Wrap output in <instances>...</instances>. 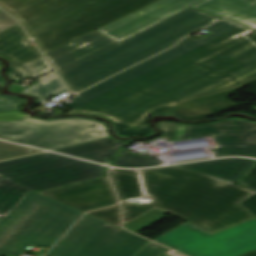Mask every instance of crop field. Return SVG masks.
<instances>
[{
    "label": "crop field",
    "mask_w": 256,
    "mask_h": 256,
    "mask_svg": "<svg viewBox=\"0 0 256 256\" xmlns=\"http://www.w3.org/2000/svg\"><path fill=\"white\" fill-rule=\"evenodd\" d=\"M200 41L189 37L162 54L62 103L70 112L98 113L122 136L146 135L145 118L183 102L234 88L256 77L253 32L221 21ZM168 114V113H167Z\"/></svg>",
    "instance_id": "obj_1"
},
{
    "label": "crop field",
    "mask_w": 256,
    "mask_h": 256,
    "mask_svg": "<svg viewBox=\"0 0 256 256\" xmlns=\"http://www.w3.org/2000/svg\"><path fill=\"white\" fill-rule=\"evenodd\" d=\"M139 171L150 202L122 204L124 224L154 207L211 234L256 218L238 204L253 192L229 181L174 166Z\"/></svg>",
    "instance_id": "obj_2"
},
{
    "label": "crop field",
    "mask_w": 256,
    "mask_h": 256,
    "mask_svg": "<svg viewBox=\"0 0 256 256\" xmlns=\"http://www.w3.org/2000/svg\"><path fill=\"white\" fill-rule=\"evenodd\" d=\"M158 0H0L44 54Z\"/></svg>",
    "instance_id": "obj_3"
},
{
    "label": "crop field",
    "mask_w": 256,
    "mask_h": 256,
    "mask_svg": "<svg viewBox=\"0 0 256 256\" xmlns=\"http://www.w3.org/2000/svg\"><path fill=\"white\" fill-rule=\"evenodd\" d=\"M220 18L188 8L59 74L71 90L79 91L173 44Z\"/></svg>",
    "instance_id": "obj_4"
},
{
    "label": "crop field",
    "mask_w": 256,
    "mask_h": 256,
    "mask_svg": "<svg viewBox=\"0 0 256 256\" xmlns=\"http://www.w3.org/2000/svg\"><path fill=\"white\" fill-rule=\"evenodd\" d=\"M105 168L54 153L0 162V220L30 189L42 192L104 176Z\"/></svg>",
    "instance_id": "obj_5"
},
{
    "label": "crop field",
    "mask_w": 256,
    "mask_h": 256,
    "mask_svg": "<svg viewBox=\"0 0 256 256\" xmlns=\"http://www.w3.org/2000/svg\"><path fill=\"white\" fill-rule=\"evenodd\" d=\"M81 215L31 191L0 222V256H19L30 244L50 248Z\"/></svg>",
    "instance_id": "obj_6"
},
{
    "label": "crop field",
    "mask_w": 256,
    "mask_h": 256,
    "mask_svg": "<svg viewBox=\"0 0 256 256\" xmlns=\"http://www.w3.org/2000/svg\"><path fill=\"white\" fill-rule=\"evenodd\" d=\"M108 137L96 120L68 118L42 121L26 119L0 122V139L48 150Z\"/></svg>",
    "instance_id": "obj_7"
},
{
    "label": "crop field",
    "mask_w": 256,
    "mask_h": 256,
    "mask_svg": "<svg viewBox=\"0 0 256 256\" xmlns=\"http://www.w3.org/2000/svg\"><path fill=\"white\" fill-rule=\"evenodd\" d=\"M154 241L189 256H240L256 250V219L214 235L187 222Z\"/></svg>",
    "instance_id": "obj_8"
},
{
    "label": "crop field",
    "mask_w": 256,
    "mask_h": 256,
    "mask_svg": "<svg viewBox=\"0 0 256 256\" xmlns=\"http://www.w3.org/2000/svg\"><path fill=\"white\" fill-rule=\"evenodd\" d=\"M213 136L217 146L211 148L215 157L239 155L256 157V123L227 119L195 125L186 139Z\"/></svg>",
    "instance_id": "obj_9"
},
{
    "label": "crop field",
    "mask_w": 256,
    "mask_h": 256,
    "mask_svg": "<svg viewBox=\"0 0 256 256\" xmlns=\"http://www.w3.org/2000/svg\"><path fill=\"white\" fill-rule=\"evenodd\" d=\"M201 0H160L96 31L122 41Z\"/></svg>",
    "instance_id": "obj_10"
},
{
    "label": "crop field",
    "mask_w": 256,
    "mask_h": 256,
    "mask_svg": "<svg viewBox=\"0 0 256 256\" xmlns=\"http://www.w3.org/2000/svg\"><path fill=\"white\" fill-rule=\"evenodd\" d=\"M42 194L68 204L82 212L117 202L108 177Z\"/></svg>",
    "instance_id": "obj_11"
},
{
    "label": "crop field",
    "mask_w": 256,
    "mask_h": 256,
    "mask_svg": "<svg viewBox=\"0 0 256 256\" xmlns=\"http://www.w3.org/2000/svg\"><path fill=\"white\" fill-rule=\"evenodd\" d=\"M145 242L106 223L75 256H132Z\"/></svg>",
    "instance_id": "obj_12"
},
{
    "label": "crop field",
    "mask_w": 256,
    "mask_h": 256,
    "mask_svg": "<svg viewBox=\"0 0 256 256\" xmlns=\"http://www.w3.org/2000/svg\"><path fill=\"white\" fill-rule=\"evenodd\" d=\"M116 43L118 42L93 31L46 54V57L53 67L59 71Z\"/></svg>",
    "instance_id": "obj_13"
},
{
    "label": "crop field",
    "mask_w": 256,
    "mask_h": 256,
    "mask_svg": "<svg viewBox=\"0 0 256 256\" xmlns=\"http://www.w3.org/2000/svg\"><path fill=\"white\" fill-rule=\"evenodd\" d=\"M191 8L256 29V3L248 0H205Z\"/></svg>",
    "instance_id": "obj_14"
},
{
    "label": "crop field",
    "mask_w": 256,
    "mask_h": 256,
    "mask_svg": "<svg viewBox=\"0 0 256 256\" xmlns=\"http://www.w3.org/2000/svg\"><path fill=\"white\" fill-rule=\"evenodd\" d=\"M253 82V80L232 90L220 92L195 100L178 104L171 114L182 119H201L237 106L227 98L237 89Z\"/></svg>",
    "instance_id": "obj_15"
},
{
    "label": "crop field",
    "mask_w": 256,
    "mask_h": 256,
    "mask_svg": "<svg viewBox=\"0 0 256 256\" xmlns=\"http://www.w3.org/2000/svg\"><path fill=\"white\" fill-rule=\"evenodd\" d=\"M105 224L84 214L46 256H74Z\"/></svg>",
    "instance_id": "obj_16"
},
{
    "label": "crop field",
    "mask_w": 256,
    "mask_h": 256,
    "mask_svg": "<svg viewBox=\"0 0 256 256\" xmlns=\"http://www.w3.org/2000/svg\"><path fill=\"white\" fill-rule=\"evenodd\" d=\"M254 163L255 160L223 158L176 166L238 183Z\"/></svg>",
    "instance_id": "obj_17"
},
{
    "label": "crop field",
    "mask_w": 256,
    "mask_h": 256,
    "mask_svg": "<svg viewBox=\"0 0 256 256\" xmlns=\"http://www.w3.org/2000/svg\"><path fill=\"white\" fill-rule=\"evenodd\" d=\"M27 40L29 39L18 25L0 34V56L11 60L9 69L40 56L37 49L30 46Z\"/></svg>",
    "instance_id": "obj_18"
},
{
    "label": "crop field",
    "mask_w": 256,
    "mask_h": 256,
    "mask_svg": "<svg viewBox=\"0 0 256 256\" xmlns=\"http://www.w3.org/2000/svg\"><path fill=\"white\" fill-rule=\"evenodd\" d=\"M123 145H125V142L106 138L53 151L101 164H108V158L116 156L117 149Z\"/></svg>",
    "instance_id": "obj_19"
},
{
    "label": "crop field",
    "mask_w": 256,
    "mask_h": 256,
    "mask_svg": "<svg viewBox=\"0 0 256 256\" xmlns=\"http://www.w3.org/2000/svg\"><path fill=\"white\" fill-rule=\"evenodd\" d=\"M109 172L121 202H127L129 198L145 197L136 170L112 169Z\"/></svg>",
    "instance_id": "obj_20"
},
{
    "label": "crop field",
    "mask_w": 256,
    "mask_h": 256,
    "mask_svg": "<svg viewBox=\"0 0 256 256\" xmlns=\"http://www.w3.org/2000/svg\"><path fill=\"white\" fill-rule=\"evenodd\" d=\"M37 81L40 83L23 90V92L38 98L40 104H45L46 98L60 91L66 90V87L63 85L59 77L53 72L37 79Z\"/></svg>",
    "instance_id": "obj_21"
},
{
    "label": "crop field",
    "mask_w": 256,
    "mask_h": 256,
    "mask_svg": "<svg viewBox=\"0 0 256 256\" xmlns=\"http://www.w3.org/2000/svg\"><path fill=\"white\" fill-rule=\"evenodd\" d=\"M52 71L51 67L43 59L42 56L16 68L10 70L8 75L14 81L24 79V78H37L43 74Z\"/></svg>",
    "instance_id": "obj_22"
},
{
    "label": "crop field",
    "mask_w": 256,
    "mask_h": 256,
    "mask_svg": "<svg viewBox=\"0 0 256 256\" xmlns=\"http://www.w3.org/2000/svg\"><path fill=\"white\" fill-rule=\"evenodd\" d=\"M121 157L113 159V166L117 167H150L161 165L150 157H137L126 150H121Z\"/></svg>",
    "instance_id": "obj_23"
},
{
    "label": "crop field",
    "mask_w": 256,
    "mask_h": 256,
    "mask_svg": "<svg viewBox=\"0 0 256 256\" xmlns=\"http://www.w3.org/2000/svg\"><path fill=\"white\" fill-rule=\"evenodd\" d=\"M166 212L160 211L157 209H153L152 211L130 221L129 223L123 225L124 228L136 233L149 225L153 224L154 222L158 221L159 219L163 218V214Z\"/></svg>",
    "instance_id": "obj_24"
},
{
    "label": "crop field",
    "mask_w": 256,
    "mask_h": 256,
    "mask_svg": "<svg viewBox=\"0 0 256 256\" xmlns=\"http://www.w3.org/2000/svg\"><path fill=\"white\" fill-rule=\"evenodd\" d=\"M37 152L40 151L0 142V160L12 157L25 156Z\"/></svg>",
    "instance_id": "obj_25"
},
{
    "label": "crop field",
    "mask_w": 256,
    "mask_h": 256,
    "mask_svg": "<svg viewBox=\"0 0 256 256\" xmlns=\"http://www.w3.org/2000/svg\"><path fill=\"white\" fill-rule=\"evenodd\" d=\"M88 214L105 222L111 223L117 227L120 225V208L118 205L106 209L96 210Z\"/></svg>",
    "instance_id": "obj_26"
},
{
    "label": "crop field",
    "mask_w": 256,
    "mask_h": 256,
    "mask_svg": "<svg viewBox=\"0 0 256 256\" xmlns=\"http://www.w3.org/2000/svg\"><path fill=\"white\" fill-rule=\"evenodd\" d=\"M20 98H5L0 96V112L18 110V107L24 102Z\"/></svg>",
    "instance_id": "obj_27"
},
{
    "label": "crop field",
    "mask_w": 256,
    "mask_h": 256,
    "mask_svg": "<svg viewBox=\"0 0 256 256\" xmlns=\"http://www.w3.org/2000/svg\"><path fill=\"white\" fill-rule=\"evenodd\" d=\"M166 251H168V249L149 242L136 256H160Z\"/></svg>",
    "instance_id": "obj_28"
},
{
    "label": "crop field",
    "mask_w": 256,
    "mask_h": 256,
    "mask_svg": "<svg viewBox=\"0 0 256 256\" xmlns=\"http://www.w3.org/2000/svg\"><path fill=\"white\" fill-rule=\"evenodd\" d=\"M239 185L256 191V164L245 175Z\"/></svg>",
    "instance_id": "obj_29"
},
{
    "label": "crop field",
    "mask_w": 256,
    "mask_h": 256,
    "mask_svg": "<svg viewBox=\"0 0 256 256\" xmlns=\"http://www.w3.org/2000/svg\"><path fill=\"white\" fill-rule=\"evenodd\" d=\"M12 19L6 13H4L2 10H0V32L17 24Z\"/></svg>",
    "instance_id": "obj_30"
},
{
    "label": "crop field",
    "mask_w": 256,
    "mask_h": 256,
    "mask_svg": "<svg viewBox=\"0 0 256 256\" xmlns=\"http://www.w3.org/2000/svg\"><path fill=\"white\" fill-rule=\"evenodd\" d=\"M26 117L19 111L2 112L0 113V121H16Z\"/></svg>",
    "instance_id": "obj_31"
},
{
    "label": "crop field",
    "mask_w": 256,
    "mask_h": 256,
    "mask_svg": "<svg viewBox=\"0 0 256 256\" xmlns=\"http://www.w3.org/2000/svg\"><path fill=\"white\" fill-rule=\"evenodd\" d=\"M239 204H241L256 216V194L251 195Z\"/></svg>",
    "instance_id": "obj_32"
},
{
    "label": "crop field",
    "mask_w": 256,
    "mask_h": 256,
    "mask_svg": "<svg viewBox=\"0 0 256 256\" xmlns=\"http://www.w3.org/2000/svg\"><path fill=\"white\" fill-rule=\"evenodd\" d=\"M138 174H139V171H138ZM139 177H140V174H139ZM140 181H141V184H142V187H143V190H144V186H143V182H142L141 177H140ZM144 193H145V190H144ZM145 196H146V194H145ZM129 202L139 204V203H142V202H148V199H147V197L146 198H135V199H130Z\"/></svg>",
    "instance_id": "obj_33"
},
{
    "label": "crop field",
    "mask_w": 256,
    "mask_h": 256,
    "mask_svg": "<svg viewBox=\"0 0 256 256\" xmlns=\"http://www.w3.org/2000/svg\"><path fill=\"white\" fill-rule=\"evenodd\" d=\"M194 125H192L178 140L184 139L187 134L190 132V130L193 128Z\"/></svg>",
    "instance_id": "obj_34"
},
{
    "label": "crop field",
    "mask_w": 256,
    "mask_h": 256,
    "mask_svg": "<svg viewBox=\"0 0 256 256\" xmlns=\"http://www.w3.org/2000/svg\"><path fill=\"white\" fill-rule=\"evenodd\" d=\"M249 38L252 39L256 43V32L249 35Z\"/></svg>",
    "instance_id": "obj_35"
},
{
    "label": "crop field",
    "mask_w": 256,
    "mask_h": 256,
    "mask_svg": "<svg viewBox=\"0 0 256 256\" xmlns=\"http://www.w3.org/2000/svg\"><path fill=\"white\" fill-rule=\"evenodd\" d=\"M243 256H256V251L250 252V253L245 254Z\"/></svg>",
    "instance_id": "obj_36"
},
{
    "label": "crop field",
    "mask_w": 256,
    "mask_h": 256,
    "mask_svg": "<svg viewBox=\"0 0 256 256\" xmlns=\"http://www.w3.org/2000/svg\"><path fill=\"white\" fill-rule=\"evenodd\" d=\"M3 84V81L1 80V78H0V85H2Z\"/></svg>",
    "instance_id": "obj_37"
},
{
    "label": "crop field",
    "mask_w": 256,
    "mask_h": 256,
    "mask_svg": "<svg viewBox=\"0 0 256 256\" xmlns=\"http://www.w3.org/2000/svg\"><path fill=\"white\" fill-rule=\"evenodd\" d=\"M253 1H255V2H256V0H253Z\"/></svg>",
    "instance_id": "obj_38"
},
{
    "label": "crop field",
    "mask_w": 256,
    "mask_h": 256,
    "mask_svg": "<svg viewBox=\"0 0 256 256\" xmlns=\"http://www.w3.org/2000/svg\"><path fill=\"white\" fill-rule=\"evenodd\" d=\"M254 80H256V78Z\"/></svg>",
    "instance_id": "obj_39"
}]
</instances>
